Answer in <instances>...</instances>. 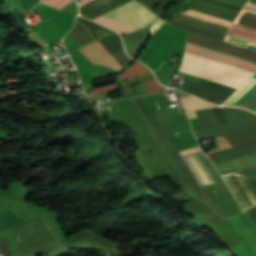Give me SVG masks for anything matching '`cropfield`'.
Instances as JSON below:
<instances>
[{
    "label": "crop field",
    "mask_w": 256,
    "mask_h": 256,
    "mask_svg": "<svg viewBox=\"0 0 256 256\" xmlns=\"http://www.w3.org/2000/svg\"><path fill=\"white\" fill-rule=\"evenodd\" d=\"M237 175L240 176L248 185H250L256 191V178L240 174ZM237 175L233 172H230L223 175L222 178L231 189L242 210H245L249 207L256 205V192Z\"/></svg>",
    "instance_id": "crop-field-5"
},
{
    "label": "crop field",
    "mask_w": 256,
    "mask_h": 256,
    "mask_svg": "<svg viewBox=\"0 0 256 256\" xmlns=\"http://www.w3.org/2000/svg\"><path fill=\"white\" fill-rule=\"evenodd\" d=\"M78 50L92 63L104 64L117 71L122 69L110 52L99 41L81 47Z\"/></svg>",
    "instance_id": "crop-field-8"
},
{
    "label": "crop field",
    "mask_w": 256,
    "mask_h": 256,
    "mask_svg": "<svg viewBox=\"0 0 256 256\" xmlns=\"http://www.w3.org/2000/svg\"><path fill=\"white\" fill-rule=\"evenodd\" d=\"M213 1L242 9V7L244 6L247 0H213ZM188 8L206 13L221 19H225L231 22L239 13V10H235V9L218 5L205 0H191Z\"/></svg>",
    "instance_id": "crop-field-6"
},
{
    "label": "crop field",
    "mask_w": 256,
    "mask_h": 256,
    "mask_svg": "<svg viewBox=\"0 0 256 256\" xmlns=\"http://www.w3.org/2000/svg\"><path fill=\"white\" fill-rule=\"evenodd\" d=\"M183 159L199 183L200 187L214 183L197 153L184 156Z\"/></svg>",
    "instance_id": "crop-field-11"
},
{
    "label": "crop field",
    "mask_w": 256,
    "mask_h": 256,
    "mask_svg": "<svg viewBox=\"0 0 256 256\" xmlns=\"http://www.w3.org/2000/svg\"><path fill=\"white\" fill-rule=\"evenodd\" d=\"M223 105L236 106L256 112V79L251 78Z\"/></svg>",
    "instance_id": "crop-field-7"
},
{
    "label": "crop field",
    "mask_w": 256,
    "mask_h": 256,
    "mask_svg": "<svg viewBox=\"0 0 256 256\" xmlns=\"http://www.w3.org/2000/svg\"><path fill=\"white\" fill-rule=\"evenodd\" d=\"M224 112L228 123L213 125L204 128L194 129L193 132L197 139L215 136L221 137L228 134L244 132L247 130L253 113L237 109L224 107ZM226 140L233 148L253 142L254 140L247 132L225 136Z\"/></svg>",
    "instance_id": "crop-field-2"
},
{
    "label": "crop field",
    "mask_w": 256,
    "mask_h": 256,
    "mask_svg": "<svg viewBox=\"0 0 256 256\" xmlns=\"http://www.w3.org/2000/svg\"><path fill=\"white\" fill-rule=\"evenodd\" d=\"M183 14L194 16V17H197V18H200V19H204V20L211 21V22H214V23H218V24L228 26V27H230L231 24H232L231 22L224 21V20L212 17V16H208V15L196 12V11H192V10L189 11V12H185ZM183 14H180V15H183ZM180 15L175 17L174 20H177V21H180V22H183V23H187V24H190V25H193V26H196V27L204 28V29H207V30H211V31L221 33V34H224V35L226 34L227 29H228V27L217 25V24H214V23H211V22H207V21H204V20L194 18V19L204 21V22H207V23H210V24H214V25H217V26H220V27H224V28H227V29H223V28H220V27H217V26H213V25H210V24H207V23H203V22H200V21H197V20L190 19V18H193V17L187 16V15H184V16H187V17H190V18L183 17V16H180Z\"/></svg>",
    "instance_id": "crop-field-9"
},
{
    "label": "crop field",
    "mask_w": 256,
    "mask_h": 256,
    "mask_svg": "<svg viewBox=\"0 0 256 256\" xmlns=\"http://www.w3.org/2000/svg\"><path fill=\"white\" fill-rule=\"evenodd\" d=\"M104 15L132 30L143 27L158 18V16L134 0Z\"/></svg>",
    "instance_id": "crop-field-3"
},
{
    "label": "crop field",
    "mask_w": 256,
    "mask_h": 256,
    "mask_svg": "<svg viewBox=\"0 0 256 256\" xmlns=\"http://www.w3.org/2000/svg\"><path fill=\"white\" fill-rule=\"evenodd\" d=\"M178 99L180 101V104L184 112L188 110L217 106V105L205 102L203 100H200L198 98H195L193 96L181 97Z\"/></svg>",
    "instance_id": "crop-field-13"
},
{
    "label": "crop field",
    "mask_w": 256,
    "mask_h": 256,
    "mask_svg": "<svg viewBox=\"0 0 256 256\" xmlns=\"http://www.w3.org/2000/svg\"><path fill=\"white\" fill-rule=\"evenodd\" d=\"M142 3L147 5L151 10L155 5H157L161 0H140Z\"/></svg>",
    "instance_id": "crop-field-28"
},
{
    "label": "crop field",
    "mask_w": 256,
    "mask_h": 256,
    "mask_svg": "<svg viewBox=\"0 0 256 256\" xmlns=\"http://www.w3.org/2000/svg\"><path fill=\"white\" fill-rule=\"evenodd\" d=\"M248 132L251 133L254 136V138L256 139V116H255Z\"/></svg>",
    "instance_id": "crop-field-30"
},
{
    "label": "crop field",
    "mask_w": 256,
    "mask_h": 256,
    "mask_svg": "<svg viewBox=\"0 0 256 256\" xmlns=\"http://www.w3.org/2000/svg\"><path fill=\"white\" fill-rule=\"evenodd\" d=\"M185 40L193 42L199 45H203L212 49H216L222 52H226L232 55H236L245 59H249L256 62V52L245 48H241L232 44H228L222 41H218L212 38H208L202 35L185 31ZM185 41V42H186ZM186 42V51L220 61L250 72L256 71V63L245 60L236 56H232L226 53H222L216 50H212L203 46H199L193 43ZM184 52L182 63L190 65L199 69H203L209 72H213L222 76H226L235 80L245 82L250 78L253 73L219 63L189 52ZM181 65L180 71H184L190 74H194L200 77H204L210 80H214L220 83H224L230 86L239 88L242 82L235 81L226 77H222L216 74H212L203 70H199L190 66ZM185 91L200 96L202 98L222 104L228 97H230L235 90L228 89L209 82L195 85L186 88Z\"/></svg>",
    "instance_id": "crop-field-1"
},
{
    "label": "crop field",
    "mask_w": 256,
    "mask_h": 256,
    "mask_svg": "<svg viewBox=\"0 0 256 256\" xmlns=\"http://www.w3.org/2000/svg\"><path fill=\"white\" fill-rule=\"evenodd\" d=\"M249 2L256 3V0H249ZM249 2L247 3V6L256 8V4H252V3H249ZM247 6H245L244 10L256 13V9L250 8V7H247Z\"/></svg>",
    "instance_id": "crop-field-31"
},
{
    "label": "crop field",
    "mask_w": 256,
    "mask_h": 256,
    "mask_svg": "<svg viewBox=\"0 0 256 256\" xmlns=\"http://www.w3.org/2000/svg\"><path fill=\"white\" fill-rule=\"evenodd\" d=\"M91 1H93V0H80V1H78L79 7L88 3V2H91Z\"/></svg>",
    "instance_id": "crop-field-34"
},
{
    "label": "crop field",
    "mask_w": 256,
    "mask_h": 256,
    "mask_svg": "<svg viewBox=\"0 0 256 256\" xmlns=\"http://www.w3.org/2000/svg\"><path fill=\"white\" fill-rule=\"evenodd\" d=\"M195 112L201 127L214 124L209 109Z\"/></svg>",
    "instance_id": "crop-field-21"
},
{
    "label": "crop field",
    "mask_w": 256,
    "mask_h": 256,
    "mask_svg": "<svg viewBox=\"0 0 256 256\" xmlns=\"http://www.w3.org/2000/svg\"><path fill=\"white\" fill-rule=\"evenodd\" d=\"M81 17V16H80ZM79 16L77 17L88 29L89 31L98 39L100 40L106 35H114L117 34L114 31H111L109 29L103 28L91 21H88L86 19L80 18Z\"/></svg>",
    "instance_id": "crop-field-15"
},
{
    "label": "crop field",
    "mask_w": 256,
    "mask_h": 256,
    "mask_svg": "<svg viewBox=\"0 0 256 256\" xmlns=\"http://www.w3.org/2000/svg\"><path fill=\"white\" fill-rule=\"evenodd\" d=\"M119 88L117 83L115 84H111V85H108V86H104V87H101V88H97V89H94L88 93H86L88 96H93V95H97V94H101V93H105V92H108L110 90H113V89H117Z\"/></svg>",
    "instance_id": "crop-field-23"
},
{
    "label": "crop field",
    "mask_w": 256,
    "mask_h": 256,
    "mask_svg": "<svg viewBox=\"0 0 256 256\" xmlns=\"http://www.w3.org/2000/svg\"><path fill=\"white\" fill-rule=\"evenodd\" d=\"M253 77L256 78V74Z\"/></svg>",
    "instance_id": "crop-field-35"
},
{
    "label": "crop field",
    "mask_w": 256,
    "mask_h": 256,
    "mask_svg": "<svg viewBox=\"0 0 256 256\" xmlns=\"http://www.w3.org/2000/svg\"><path fill=\"white\" fill-rule=\"evenodd\" d=\"M130 0H99L80 9V15L90 20L104 14Z\"/></svg>",
    "instance_id": "crop-field-10"
},
{
    "label": "crop field",
    "mask_w": 256,
    "mask_h": 256,
    "mask_svg": "<svg viewBox=\"0 0 256 256\" xmlns=\"http://www.w3.org/2000/svg\"><path fill=\"white\" fill-rule=\"evenodd\" d=\"M93 21H95V22H97V23H99L101 25H104V26H106L108 28H111V29H113V30H115L117 32L126 33V32L132 31V30H130V29H128V28L118 24L117 22H115V21H113V20L103 16V15L98 17V18H96V19H94Z\"/></svg>",
    "instance_id": "crop-field-17"
},
{
    "label": "crop field",
    "mask_w": 256,
    "mask_h": 256,
    "mask_svg": "<svg viewBox=\"0 0 256 256\" xmlns=\"http://www.w3.org/2000/svg\"><path fill=\"white\" fill-rule=\"evenodd\" d=\"M113 54L123 51V45L119 35L106 36L100 40Z\"/></svg>",
    "instance_id": "crop-field-16"
},
{
    "label": "crop field",
    "mask_w": 256,
    "mask_h": 256,
    "mask_svg": "<svg viewBox=\"0 0 256 256\" xmlns=\"http://www.w3.org/2000/svg\"><path fill=\"white\" fill-rule=\"evenodd\" d=\"M248 212L253 217V219L256 221V207L248 210Z\"/></svg>",
    "instance_id": "crop-field-33"
},
{
    "label": "crop field",
    "mask_w": 256,
    "mask_h": 256,
    "mask_svg": "<svg viewBox=\"0 0 256 256\" xmlns=\"http://www.w3.org/2000/svg\"><path fill=\"white\" fill-rule=\"evenodd\" d=\"M170 25L181 28V29H186V30H189V31H193V32H196V33H199V34H202V35H206V36H209V37H212V38H215V39H219V40H222V41L225 38L224 36H221V35H218V34H215V33H211V32L196 28V27L188 26V25L182 24V23L174 21V20H172Z\"/></svg>",
    "instance_id": "crop-field-18"
},
{
    "label": "crop field",
    "mask_w": 256,
    "mask_h": 256,
    "mask_svg": "<svg viewBox=\"0 0 256 256\" xmlns=\"http://www.w3.org/2000/svg\"><path fill=\"white\" fill-rule=\"evenodd\" d=\"M0 251L3 254V256H10V250L8 246L7 238L0 239Z\"/></svg>",
    "instance_id": "crop-field-26"
},
{
    "label": "crop field",
    "mask_w": 256,
    "mask_h": 256,
    "mask_svg": "<svg viewBox=\"0 0 256 256\" xmlns=\"http://www.w3.org/2000/svg\"><path fill=\"white\" fill-rule=\"evenodd\" d=\"M114 57L117 58L125 68L128 60H129V57L126 56L125 52L123 51L121 53H118V54L114 55Z\"/></svg>",
    "instance_id": "crop-field-27"
},
{
    "label": "crop field",
    "mask_w": 256,
    "mask_h": 256,
    "mask_svg": "<svg viewBox=\"0 0 256 256\" xmlns=\"http://www.w3.org/2000/svg\"><path fill=\"white\" fill-rule=\"evenodd\" d=\"M82 46L95 41V39L76 21L74 28L69 32Z\"/></svg>",
    "instance_id": "crop-field-14"
},
{
    "label": "crop field",
    "mask_w": 256,
    "mask_h": 256,
    "mask_svg": "<svg viewBox=\"0 0 256 256\" xmlns=\"http://www.w3.org/2000/svg\"><path fill=\"white\" fill-rule=\"evenodd\" d=\"M125 46H130V45H134L137 43H140L142 41H144L145 38V29H142L140 31L137 32H133L130 33L126 36H121Z\"/></svg>",
    "instance_id": "crop-field-19"
},
{
    "label": "crop field",
    "mask_w": 256,
    "mask_h": 256,
    "mask_svg": "<svg viewBox=\"0 0 256 256\" xmlns=\"http://www.w3.org/2000/svg\"><path fill=\"white\" fill-rule=\"evenodd\" d=\"M256 152V143H250L235 149H230L218 153L209 154L208 156L212 160L213 164H219L240 156H244L247 154L255 153Z\"/></svg>",
    "instance_id": "crop-field-12"
},
{
    "label": "crop field",
    "mask_w": 256,
    "mask_h": 256,
    "mask_svg": "<svg viewBox=\"0 0 256 256\" xmlns=\"http://www.w3.org/2000/svg\"><path fill=\"white\" fill-rule=\"evenodd\" d=\"M233 172H237V173H241V174H245L248 176H252V177H256V165L250 166V167H246L240 170H236Z\"/></svg>",
    "instance_id": "crop-field-25"
},
{
    "label": "crop field",
    "mask_w": 256,
    "mask_h": 256,
    "mask_svg": "<svg viewBox=\"0 0 256 256\" xmlns=\"http://www.w3.org/2000/svg\"><path fill=\"white\" fill-rule=\"evenodd\" d=\"M198 151H200V149L197 146V147H193V148H190V149H187V150L180 151V154H181V156H183V155L195 153V152H198Z\"/></svg>",
    "instance_id": "crop-field-29"
},
{
    "label": "crop field",
    "mask_w": 256,
    "mask_h": 256,
    "mask_svg": "<svg viewBox=\"0 0 256 256\" xmlns=\"http://www.w3.org/2000/svg\"><path fill=\"white\" fill-rule=\"evenodd\" d=\"M165 2L166 0H162V2L153 10V12L158 14V12L160 11Z\"/></svg>",
    "instance_id": "crop-field-32"
},
{
    "label": "crop field",
    "mask_w": 256,
    "mask_h": 256,
    "mask_svg": "<svg viewBox=\"0 0 256 256\" xmlns=\"http://www.w3.org/2000/svg\"><path fill=\"white\" fill-rule=\"evenodd\" d=\"M145 67L135 62L125 73L119 75L120 79L147 74Z\"/></svg>",
    "instance_id": "crop-field-20"
},
{
    "label": "crop field",
    "mask_w": 256,
    "mask_h": 256,
    "mask_svg": "<svg viewBox=\"0 0 256 256\" xmlns=\"http://www.w3.org/2000/svg\"><path fill=\"white\" fill-rule=\"evenodd\" d=\"M210 110L215 124L227 122L222 108H214Z\"/></svg>",
    "instance_id": "crop-field-22"
},
{
    "label": "crop field",
    "mask_w": 256,
    "mask_h": 256,
    "mask_svg": "<svg viewBox=\"0 0 256 256\" xmlns=\"http://www.w3.org/2000/svg\"><path fill=\"white\" fill-rule=\"evenodd\" d=\"M229 33L236 34L242 37H246L252 40H256V15L247 11L242 10L241 14L235 20L233 26L231 27ZM227 34L226 39H230L236 42H240L243 44H247L253 47H256V41H252L246 38H242L236 35ZM225 42L232 43L238 46H242L251 50H255L256 48L243 45L240 43H236L230 40H226Z\"/></svg>",
    "instance_id": "crop-field-4"
},
{
    "label": "crop field",
    "mask_w": 256,
    "mask_h": 256,
    "mask_svg": "<svg viewBox=\"0 0 256 256\" xmlns=\"http://www.w3.org/2000/svg\"><path fill=\"white\" fill-rule=\"evenodd\" d=\"M163 89H164V87L160 86L157 83L156 79L146 82L147 93H151V92H155V91H159V90H163Z\"/></svg>",
    "instance_id": "crop-field-24"
},
{
    "label": "crop field",
    "mask_w": 256,
    "mask_h": 256,
    "mask_svg": "<svg viewBox=\"0 0 256 256\" xmlns=\"http://www.w3.org/2000/svg\"><path fill=\"white\" fill-rule=\"evenodd\" d=\"M76 1H78V0H76Z\"/></svg>",
    "instance_id": "crop-field-36"
}]
</instances>
